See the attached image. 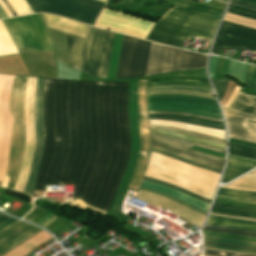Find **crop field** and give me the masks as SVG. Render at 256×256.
<instances>
[{"label": "crop field", "mask_w": 256, "mask_h": 256, "mask_svg": "<svg viewBox=\"0 0 256 256\" xmlns=\"http://www.w3.org/2000/svg\"><path fill=\"white\" fill-rule=\"evenodd\" d=\"M43 122L34 196L75 183V199L107 213L130 151L128 82L46 79Z\"/></svg>", "instance_id": "1"}, {"label": "crop field", "mask_w": 256, "mask_h": 256, "mask_svg": "<svg viewBox=\"0 0 256 256\" xmlns=\"http://www.w3.org/2000/svg\"><path fill=\"white\" fill-rule=\"evenodd\" d=\"M151 45L150 42L124 35L116 78L145 76ZM206 58L153 43L146 76L202 68Z\"/></svg>", "instance_id": "2"}, {"label": "crop field", "mask_w": 256, "mask_h": 256, "mask_svg": "<svg viewBox=\"0 0 256 256\" xmlns=\"http://www.w3.org/2000/svg\"><path fill=\"white\" fill-rule=\"evenodd\" d=\"M65 35L69 45V67L106 78L115 33L89 26L87 39Z\"/></svg>", "instance_id": "3"}, {"label": "crop field", "mask_w": 256, "mask_h": 256, "mask_svg": "<svg viewBox=\"0 0 256 256\" xmlns=\"http://www.w3.org/2000/svg\"><path fill=\"white\" fill-rule=\"evenodd\" d=\"M217 22L218 19L173 6L158 19L146 39L175 47L183 39L189 41L192 35L210 40Z\"/></svg>", "instance_id": "4"}, {"label": "crop field", "mask_w": 256, "mask_h": 256, "mask_svg": "<svg viewBox=\"0 0 256 256\" xmlns=\"http://www.w3.org/2000/svg\"><path fill=\"white\" fill-rule=\"evenodd\" d=\"M27 77L15 76L10 101V111L14 117L9 164L7 175L10 181L7 188L13 189L18 176L25 145L24 99Z\"/></svg>", "instance_id": "5"}, {"label": "crop field", "mask_w": 256, "mask_h": 256, "mask_svg": "<svg viewBox=\"0 0 256 256\" xmlns=\"http://www.w3.org/2000/svg\"><path fill=\"white\" fill-rule=\"evenodd\" d=\"M17 49L53 51L38 14L3 19Z\"/></svg>", "instance_id": "6"}, {"label": "crop field", "mask_w": 256, "mask_h": 256, "mask_svg": "<svg viewBox=\"0 0 256 256\" xmlns=\"http://www.w3.org/2000/svg\"><path fill=\"white\" fill-rule=\"evenodd\" d=\"M228 108L256 115V97L239 91ZM229 109L223 108L229 138L256 143V125L245 123L247 118L256 120V116Z\"/></svg>", "instance_id": "7"}, {"label": "crop field", "mask_w": 256, "mask_h": 256, "mask_svg": "<svg viewBox=\"0 0 256 256\" xmlns=\"http://www.w3.org/2000/svg\"><path fill=\"white\" fill-rule=\"evenodd\" d=\"M27 2L34 12L54 13L92 25L105 5L94 0H36L39 11L35 0H27Z\"/></svg>", "instance_id": "8"}, {"label": "crop field", "mask_w": 256, "mask_h": 256, "mask_svg": "<svg viewBox=\"0 0 256 256\" xmlns=\"http://www.w3.org/2000/svg\"><path fill=\"white\" fill-rule=\"evenodd\" d=\"M149 110L190 112L214 117H221L215 100L178 94L151 95Z\"/></svg>", "instance_id": "9"}, {"label": "crop field", "mask_w": 256, "mask_h": 256, "mask_svg": "<svg viewBox=\"0 0 256 256\" xmlns=\"http://www.w3.org/2000/svg\"><path fill=\"white\" fill-rule=\"evenodd\" d=\"M151 146L177 156L216 168H223L224 159L190 149L192 145L225 153V150L162 134L151 133Z\"/></svg>", "instance_id": "10"}, {"label": "crop field", "mask_w": 256, "mask_h": 256, "mask_svg": "<svg viewBox=\"0 0 256 256\" xmlns=\"http://www.w3.org/2000/svg\"><path fill=\"white\" fill-rule=\"evenodd\" d=\"M13 79L12 75L0 74V180H3V187L7 186L9 180L6 176V167L13 118L8 106Z\"/></svg>", "instance_id": "11"}, {"label": "crop field", "mask_w": 256, "mask_h": 256, "mask_svg": "<svg viewBox=\"0 0 256 256\" xmlns=\"http://www.w3.org/2000/svg\"><path fill=\"white\" fill-rule=\"evenodd\" d=\"M139 85V124H140V154L134 175L128 187L139 188L143 173L150 157V127L147 108V81H138Z\"/></svg>", "instance_id": "12"}, {"label": "crop field", "mask_w": 256, "mask_h": 256, "mask_svg": "<svg viewBox=\"0 0 256 256\" xmlns=\"http://www.w3.org/2000/svg\"><path fill=\"white\" fill-rule=\"evenodd\" d=\"M222 45L256 51V30L223 21L212 52L219 55Z\"/></svg>", "instance_id": "13"}, {"label": "crop field", "mask_w": 256, "mask_h": 256, "mask_svg": "<svg viewBox=\"0 0 256 256\" xmlns=\"http://www.w3.org/2000/svg\"><path fill=\"white\" fill-rule=\"evenodd\" d=\"M44 82H45V79L37 78L35 106H34L36 146H35L32 163L30 166L27 182L23 190L24 192H28L30 194L33 193L35 180H36L37 167H38V163L43 150L44 133H43V122H42V109H43Z\"/></svg>", "instance_id": "14"}, {"label": "crop field", "mask_w": 256, "mask_h": 256, "mask_svg": "<svg viewBox=\"0 0 256 256\" xmlns=\"http://www.w3.org/2000/svg\"><path fill=\"white\" fill-rule=\"evenodd\" d=\"M41 229L20 221L0 231V256H3L15 246L28 239Z\"/></svg>", "instance_id": "15"}, {"label": "crop field", "mask_w": 256, "mask_h": 256, "mask_svg": "<svg viewBox=\"0 0 256 256\" xmlns=\"http://www.w3.org/2000/svg\"><path fill=\"white\" fill-rule=\"evenodd\" d=\"M136 197L143 201L168 209L198 226H201L205 220V216L161 196L139 190Z\"/></svg>", "instance_id": "16"}, {"label": "crop field", "mask_w": 256, "mask_h": 256, "mask_svg": "<svg viewBox=\"0 0 256 256\" xmlns=\"http://www.w3.org/2000/svg\"><path fill=\"white\" fill-rule=\"evenodd\" d=\"M42 15L47 27L86 38V30L88 27L87 25L76 23L53 15Z\"/></svg>", "instance_id": "17"}, {"label": "crop field", "mask_w": 256, "mask_h": 256, "mask_svg": "<svg viewBox=\"0 0 256 256\" xmlns=\"http://www.w3.org/2000/svg\"><path fill=\"white\" fill-rule=\"evenodd\" d=\"M256 166V161L228 154V161L223 177L227 183L234 178L246 173Z\"/></svg>", "instance_id": "18"}, {"label": "crop field", "mask_w": 256, "mask_h": 256, "mask_svg": "<svg viewBox=\"0 0 256 256\" xmlns=\"http://www.w3.org/2000/svg\"><path fill=\"white\" fill-rule=\"evenodd\" d=\"M141 186L170 194V195H172V196H174V197H176V198H178V199H180L184 202H187V203L203 210V211L207 212V210H208V206H209L208 204H206L204 202H201L199 200H196L194 198H191V197H189V196H187V195H185V194H183L179 191L171 189L169 187H166V186H163V185H160V184H157V183L145 181V180L142 181Z\"/></svg>", "instance_id": "19"}, {"label": "crop field", "mask_w": 256, "mask_h": 256, "mask_svg": "<svg viewBox=\"0 0 256 256\" xmlns=\"http://www.w3.org/2000/svg\"><path fill=\"white\" fill-rule=\"evenodd\" d=\"M149 119H169L173 121H183L187 123L224 130L222 122L188 117V116L177 115V114H149Z\"/></svg>", "instance_id": "20"}, {"label": "crop field", "mask_w": 256, "mask_h": 256, "mask_svg": "<svg viewBox=\"0 0 256 256\" xmlns=\"http://www.w3.org/2000/svg\"><path fill=\"white\" fill-rule=\"evenodd\" d=\"M157 85H186L210 88L207 79L172 77L148 80V87Z\"/></svg>", "instance_id": "21"}, {"label": "crop field", "mask_w": 256, "mask_h": 256, "mask_svg": "<svg viewBox=\"0 0 256 256\" xmlns=\"http://www.w3.org/2000/svg\"><path fill=\"white\" fill-rule=\"evenodd\" d=\"M211 212L232 216L256 218V209L234 207L216 203H214Z\"/></svg>", "instance_id": "22"}, {"label": "crop field", "mask_w": 256, "mask_h": 256, "mask_svg": "<svg viewBox=\"0 0 256 256\" xmlns=\"http://www.w3.org/2000/svg\"><path fill=\"white\" fill-rule=\"evenodd\" d=\"M151 131L225 149L224 144L216 143L213 141H209V140H205V139H201V138H197V137H192V136L174 133V132H170V131H162V130H154V129H151Z\"/></svg>", "instance_id": "23"}, {"label": "crop field", "mask_w": 256, "mask_h": 256, "mask_svg": "<svg viewBox=\"0 0 256 256\" xmlns=\"http://www.w3.org/2000/svg\"><path fill=\"white\" fill-rule=\"evenodd\" d=\"M228 153L256 160V149L254 148L229 143Z\"/></svg>", "instance_id": "24"}, {"label": "crop field", "mask_w": 256, "mask_h": 256, "mask_svg": "<svg viewBox=\"0 0 256 256\" xmlns=\"http://www.w3.org/2000/svg\"><path fill=\"white\" fill-rule=\"evenodd\" d=\"M246 67L247 64L231 60L228 74L244 82Z\"/></svg>", "instance_id": "25"}, {"label": "crop field", "mask_w": 256, "mask_h": 256, "mask_svg": "<svg viewBox=\"0 0 256 256\" xmlns=\"http://www.w3.org/2000/svg\"><path fill=\"white\" fill-rule=\"evenodd\" d=\"M203 237H204V240H206V241L222 242V243H229V244H237V245H245V246L256 247V242L224 239V238H218V237H212V236H206V235H203Z\"/></svg>", "instance_id": "26"}, {"label": "crop field", "mask_w": 256, "mask_h": 256, "mask_svg": "<svg viewBox=\"0 0 256 256\" xmlns=\"http://www.w3.org/2000/svg\"><path fill=\"white\" fill-rule=\"evenodd\" d=\"M218 193L223 194V195H227V196H235V197L256 199V193L230 190V189H225V188H222V187H220Z\"/></svg>", "instance_id": "27"}, {"label": "crop field", "mask_w": 256, "mask_h": 256, "mask_svg": "<svg viewBox=\"0 0 256 256\" xmlns=\"http://www.w3.org/2000/svg\"><path fill=\"white\" fill-rule=\"evenodd\" d=\"M151 128L170 130V131L179 132V133H183V134H188V135H192V136H197V137H201V138H205V139H209V140H213V141L225 144V140H223V139H219V138H215V137H211V136H206V135H202V134H197V133H192V132L180 130V129H177V128H167V127H163V126H151Z\"/></svg>", "instance_id": "28"}, {"label": "crop field", "mask_w": 256, "mask_h": 256, "mask_svg": "<svg viewBox=\"0 0 256 256\" xmlns=\"http://www.w3.org/2000/svg\"><path fill=\"white\" fill-rule=\"evenodd\" d=\"M163 1H166L172 5H175V6H178V7H181V8H184V9H188V10H191V11H194V12H197V13H201V14H204V15H208V16H211V17H214V18H220V15H217V14H213V13H210V12H206V11H203L201 9H197V8H193V7H190L182 2H178V1H174V0H163Z\"/></svg>", "instance_id": "29"}, {"label": "crop field", "mask_w": 256, "mask_h": 256, "mask_svg": "<svg viewBox=\"0 0 256 256\" xmlns=\"http://www.w3.org/2000/svg\"><path fill=\"white\" fill-rule=\"evenodd\" d=\"M148 92H149V94H159V93L190 94V95H197V96H203V97H208V98L214 99L212 94L191 92V91H184V90H156V91H148Z\"/></svg>", "instance_id": "30"}, {"label": "crop field", "mask_w": 256, "mask_h": 256, "mask_svg": "<svg viewBox=\"0 0 256 256\" xmlns=\"http://www.w3.org/2000/svg\"><path fill=\"white\" fill-rule=\"evenodd\" d=\"M203 229H205V230H211V231H217V232H224V233H232V234L256 236V233L249 232V231L225 229V228H219V227L208 226V225H206Z\"/></svg>", "instance_id": "31"}, {"label": "crop field", "mask_w": 256, "mask_h": 256, "mask_svg": "<svg viewBox=\"0 0 256 256\" xmlns=\"http://www.w3.org/2000/svg\"><path fill=\"white\" fill-rule=\"evenodd\" d=\"M47 213L48 212H46V211L40 209L38 206L34 205V209H32L28 214H26L24 218L37 223Z\"/></svg>", "instance_id": "32"}, {"label": "crop field", "mask_w": 256, "mask_h": 256, "mask_svg": "<svg viewBox=\"0 0 256 256\" xmlns=\"http://www.w3.org/2000/svg\"><path fill=\"white\" fill-rule=\"evenodd\" d=\"M227 11L244 17L256 19V12L252 10L230 5Z\"/></svg>", "instance_id": "33"}, {"label": "crop field", "mask_w": 256, "mask_h": 256, "mask_svg": "<svg viewBox=\"0 0 256 256\" xmlns=\"http://www.w3.org/2000/svg\"><path fill=\"white\" fill-rule=\"evenodd\" d=\"M151 150L152 151H155V152H158L160 154H163V155H166V156H169V157H172V158H175V159H178V160H181V161H184V162H187V163H191V164H194V165H197L199 167H202L204 169H207V170H210V171H213V172H216V173H221L222 170L220 169H216V168H212V167H208V166H204V165H201V164H198V163H195V162H192V161H189V160H186V159H183V158H180V157H177V156H174L172 154H169V153H166V152H163V151H160V150H157L155 148H152L151 147Z\"/></svg>", "instance_id": "34"}, {"label": "crop field", "mask_w": 256, "mask_h": 256, "mask_svg": "<svg viewBox=\"0 0 256 256\" xmlns=\"http://www.w3.org/2000/svg\"><path fill=\"white\" fill-rule=\"evenodd\" d=\"M203 234L224 237V238H232V239H240V240H248V241H256L254 237H246V236H239V235H232V234H224V233H217L211 231L202 230Z\"/></svg>", "instance_id": "35"}, {"label": "crop field", "mask_w": 256, "mask_h": 256, "mask_svg": "<svg viewBox=\"0 0 256 256\" xmlns=\"http://www.w3.org/2000/svg\"><path fill=\"white\" fill-rule=\"evenodd\" d=\"M245 82L256 90V66L248 65Z\"/></svg>", "instance_id": "36"}, {"label": "crop field", "mask_w": 256, "mask_h": 256, "mask_svg": "<svg viewBox=\"0 0 256 256\" xmlns=\"http://www.w3.org/2000/svg\"><path fill=\"white\" fill-rule=\"evenodd\" d=\"M155 89H184V90H192V91H200V92L212 93L211 89L196 88V87H186V86H159V87L148 88V90H155Z\"/></svg>", "instance_id": "37"}, {"label": "crop field", "mask_w": 256, "mask_h": 256, "mask_svg": "<svg viewBox=\"0 0 256 256\" xmlns=\"http://www.w3.org/2000/svg\"><path fill=\"white\" fill-rule=\"evenodd\" d=\"M143 179L149 180V181H153V182H157V183H160V184H163V185H166V186H169V187L174 188V189H176V190H179V191H181V192H183V193H185V194H187V195H189V196H191V197H194V198H196V199H199V200H201V201H204V202H206V203H208V204L210 203V200H207V199H205V198L196 196V195H194V194H192V193H190V192H188V191H185V190L180 189V188H178V187H175V186H172V185H170V184L164 183V182H162V181H159V180H156V179H152V178H149V177H145V176H144Z\"/></svg>", "instance_id": "38"}, {"label": "crop field", "mask_w": 256, "mask_h": 256, "mask_svg": "<svg viewBox=\"0 0 256 256\" xmlns=\"http://www.w3.org/2000/svg\"><path fill=\"white\" fill-rule=\"evenodd\" d=\"M139 189L140 190H144V191H148V192H151V193H155V194L161 195L163 197L169 198L171 200H174V201H176V202H178V203H180V204H182V205H184L186 207H189V208H191V209H193V210H195V211H197V212H199V213H201V214H203L205 216L207 214L206 212L200 211V210H198V209H196V208H194V207H192V206H190V205H188V204H186V203H184V202H182V201H180V200H178V199H176V198H174V197H172L170 195H167V194H164V193H161V192H157V191H153V190H149V189H145V188H141V187Z\"/></svg>", "instance_id": "39"}, {"label": "crop field", "mask_w": 256, "mask_h": 256, "mask_svg": "<svg viewBox=\"0 0 256 256\" xmlns=\"http://www.w3.org/2000/svg\"><path fill=\"white\" fill-rule=\"evenodd\" d=\"M211 80L214 85L215 91L217 93L218 99L220 101V99L226 89L228 81H221V80H215V79H211Z\"/></svg>", "instance_id": "40"}, {"label": "crop field", "mask_w": 256, "mask_h": 256, "mask_svg": "<svg viewBox=\"0 0 256 256\" xmlns=\"http://www.w3.org/2000/svg\"><path fill=\"white\" fill-rule=\"evenodd\" d=\"M208 222L219 223V224H227V225H233V226H240V227L256 229V225L244 224V223H238V222H231V221H225V220H219V219H213V218H210L208 220Z\"/></svg>", "instance_id": "41"}, {"label": "crop field", "mask_w": 256, "mask_h": 256, "mask_svg": "<svg viewBox=\"0 0 256 256\" xmlns=\"http://www.w3.org/2000/svg\"><path fill=\"white\" fill-rule=\"evenodd\" d=\"M179 1H182V2H184L186 4L191 5V6L198 7V8H201V9L213 12V13H217V14H220V15L222 14V11H219V10H216V9L208 7V6H204V5L195 3V2H193L191 0H179Z\"/></svg>", "instance_id": "42"}, {"label": "crop field", "mask_w": 256, "mask_h": 256, "mask_svg": "<svg viewBox=\"0 0 256 256\" xmlns=\"http://www.w3.org/2000/svg\"><path fill=\"white\" fill-rule=\"evenodd\" d=\"M215 202L223 203V204H229V205H235V206L256 208L255 204H247V203H240V202L227 201V200H219V199H216Z\"/></svg>", "instance_id": "43"}, {"label": "crop field", "mask_w": 256, "mask_h": 256, "mask_svg": "<svg viewBox=\"0 0 256 256\" xmlns=\"http://www.w3.org/2000/svg\"><path fill=\"white\" fill-rule=\"evenodd\" d=\"M149 113H177V114H183V115H189L194 117H200V118H207V119H214V120H220V118H214V117H208V116H202V115H196V114H190V113H182V112H166V111H149Z\"/></svg>", "instance_id": "44"}, {"label": "crop field", "mask_w": 256, "mask_h": 256, "mask_svg": "<svg viewBox=\"0 0 256 256\" xmlns=\"http://www.w3.org/2000/svg\"><path fill=\"white\" fill-rule=\"evenodd\" d=\"M57 218V216H54L50 213H48L42 220H40L38 222V224L46 227L47 225H49L51 222H53L55 219Z\"/></svg>", "instance_id": "45"}, {"label": "crop field", "mask_w": 256, "mask_h": 256, "mask_svg": "<svg viewBox=\"0 0 256 256\" xmlns=\"http://www.w3.org/2000/svg\"><path fill=\"white\" fill-rule=\"evenodd\" d=\"M204 253L216 255V256H248V255L225 253V252H219V251H213V250H207V249H204Z\"/></svg>", "instance_id": "46"}, {"label": "crop field", "mask_w": 256, "mask_h": 256, "mask_svg": "<svg viewBox=\"0 0 256 256\" xmlns=\"http://www.w3.org/2000/svg\"><path fill=\"white\" fill-rule=\"evenodd\" d=\"M216 198L227 199V200H234V201H241V202H248V203H255L256 204V200H248V199H242V198L226 197V196H222V195H218V194H217Z\"/></svg>", "instance_id": "47"}, {"label": "crop field", "mask_w": 256, "mask_h": 256, "mask_svg": "<svg viewBox=\"0 0 256 256\" xmlns=\"http://www.w3.org/2000/svg\"><path fill=\"white\" fill-rule=\"evenodd\" d=\"M208 247H216V248H223V249H230V250H237V251H244V252H251V253H256V250H248V249H239V248H230V247H222V246H213V245H205Z\"/></svg>", "instance_id": "48"}, {"label": "crop field", "mask_w": 256, "mask_h": 256, "mask_svg": "<svg viewBox=\"0 0 256 256\" xmlns=\"http://www.w3.org/2000/svg\"><path fill=\"white\" fill-rule=\"evenodd\" d=\"M217 56H211L210 58V63H209V73H213L214 72V68L217 62Z\"/></svg>", "instance_id": "49"}, {"label": "crop field", "mask_w": 256, "mask_h": 256, "mask_svg": "<svg viewBox=\"0 0 256 256\" xmlns=\"http://www.w3.org/2000/svg\"><path fill=\"white\" fill-rule=\"evenodd\" d=\"M210 217H213V218H219V219H225V220H231V221H238V222H245V223H254V224H256V222H254V221H247V220L233 219V218L220 217V216H213V215H210Z\"/></svg>", "instance_id": "50"}, {"label": "crop field", "mask_w": 256, "mask_h": 256, "mask_svg": "<svg viewBox=\"0 0 256 256\" xmlns=\"http://www.w3.org/2000/svg\"><path fill=\"white\" fill-rule=\"evenodd\" d=\"M207 224H208V225L219 226V227H225V228L242 229V230H249V231L256 232V230L246 229V228H239V227H233V226H227V225H219V224H211V223H207Z\"/></svg>", "instance_id": "51"}, {"label": "crop field", "mask_w": 256, "mask_h": 256, "mask_svg": "<svg viewBox=\"0 0 256 256\" xmlns=\"http://www.w3.org/2000/svg\"><path fill=\"white\" fill-rule=\"evenodd\" d=\"M231 4H235V5H238V6H241V7H245V8L252 9V10H256V7L249 6V5L243 4V3L238 2V1H234V0L231 1Z\"/></svg>", "instance_id": "52"}, {"label": "crop field", "mask_w": 256, "mask_h": 256, "mask_svg": "<svg viewBox=\"0 0 256 256\" xmlns=\"http://www.w3.org/2000/svg\"><path fill=\"white\" fill-rule=\"evenodd\" d=\"M223 61H224V59L219 57L215 73H218V74L221 73Z\"/></svg>", "instance_id": "53"}, {"label": "crop field", "mask_w": 256, "mask_h": 256, "mask_svg": "<svg viewBox=\"0 0 256 256\" xmlns=\"http://www.w3.org/2000/svg\"><path fill=\"white\" fill-rule=\"evenodd\" d=\"M206 244H213V245H222V246H231V247H239V248H248V249H256V248H251V247H241V246H235V245H229V244H221V243H213V242H206Z\"/></svg>", "instance_id": "54"}, {"label": "crop field", "mask_w": 256, "mask_h": 256, "mask_svg": "<svg viewBox=\"0 0 256 256\" xmlns=\"http://www.w3.org/2000/svg\"><path fill=\"white\" fill-rule=\"evenodd\" d=\"M229 142L237 143V144H242V145H246V146H250V147L256 148V144H251V143H246V142H241V141H236V140H231V139H229Z\"/></svg>", "instance_id": "55"}, {"label": "crop field", "mask_w": 256, "mask_h": 256, "mask_svg": "<svg viewBox=\"0 0 256 256\" xmlns=\"http://www.w3.org/2000/svg\"><path fill=\"white\" fill-rule=\"evenodd\" d=\"M15 221H17V220H14V219L10 218V219H8V220L2 222V223L0 224V229H2V228H4V227H6V226L12 224V223L15 222Z\"/></svg>", "instance_id": "56"}, {"label": "crop field", "mask_w": 256, "mask_h": 256, "mask_svg": "<svg viewBox=\"0 0 256 256\" xmlns=\"http://www.w3.org/2000/svg\"><path fill=\"white\" fill-rule=\"evenodd\" d=\"M4 3L6 4V6L9 8V10L11 11V13L13 14V16L16 15V13L14 12V10L11 8V6L9 5V3L7 2V0H3Z\"/></svg>", "instance_id": "57"}, {"label": "crop field", "mask_w": 256, "mask_h": 256, "mask_svg": "<svg viewBox=\"0 0 256 256\" xmlns=\"http://www.w3.org/2000/svg\"><path fill=\"white\" fill-rule=\"evenodd\" d=\"M206 248V247H204ZM207 249H212V248H207ZM214 250H221V249H214ZM221 251H228V252H235V253H242V254H251V253H244V252H237V251H230V250H221ZM251 255H256V254H251Z\"/></svg>", "instance_id": "58"}, {"label": "crop field", "mask_w": 256, "mask_h": 256, "mask_svg": "<svg viewBox=\"0 0 256 256\" xmlns=\"http://www.w3.org/2000/svg\"><path fill=\"white\" fill-rule=\"evenodd\" d=\"M238 1L256 6V2H252V1H249V0H238Z\"/></svg>", "instance_id": "59"}, {"label": "crop field", "mask_w": 256, "mask_h": 256, "mask_svg": "<svg viewBox=\"0 0 256 256\" xmlns=\"http://www.w3.org/2000/svg\"><path fill=\"white\" fill-rule=\"evenodd\" d=\"M6 17H7V15L3 11V9L0 7V18H6Z\"/></svg>", "instance_id": "60"}, {"label": "crop field", "mask_w": 256, "mask_h": 256, "mask_svg": "<svg viewBox=\"0 0 256 256\" xmlns=\"http://www.w3.org/2000/svg\"><path fill=\"white\" fill-rule=\"evenodd\" d=\"M213 214V213H211ZM213 215H218V214H213ZM220 216H224V215H220ZM227 217H231V216H227ZM234 218H240V217H234ZM240 219H247V220H254L256 221V219H250V218H240Z\"/></svg>", "instance_id": "61"}, {"label": "crop field", "mask_w": 256, "mask_h": 256, "mask_svg": "<svg viewBox=\"0 0 256 256\" xmlns=\"http://www.w3.org/2000/svg\"><path fill=\"white\" fill-rule=\"evenodd\" d=\"M8 218H9V217H6V216L0 214V223H1L2 221H4V220L8 219Z\"/></svg>", "instance_id": "62"}, {"label": "crop field", "mask_w": 256, "mask_h": 256, "mask_svg": "<svg viewBox=\"0 0 256 256\" xmlns=\"http://www.w3.org/2000/svg\"><path fill=\"white\" fill-rule=\"evenodd\" d=\"M98 1L105 2V3L107 2V0H98Z\"/></svg>", "instance_id": "63"}, {"label": "crop field", "mask_w": 256, "mask_h": 256, "mask_svg": "<svg viewBox=\"0 0 256 256\" xmlns=\"http://www.w3.org/2000/svg\"><path fill=\"white\" fill-rule=\"evenodd\" d=\"M204 256H210V255H206V254H204Z\"/></svg>", "instance_id": "64"}, {"label": "crop field", "mask_w": 256, "mask_h": 256, "mask_svg": "<svg viewBox=\"0 0 256 256\" xmlns=\"http://www.w3.org/2000/svg\"><path fill=\"white\" fill-rule=\"evenodd\" d=\"M225 1V0H224Z\"/></svg>", "instance_id": "65"}]
</instances>
